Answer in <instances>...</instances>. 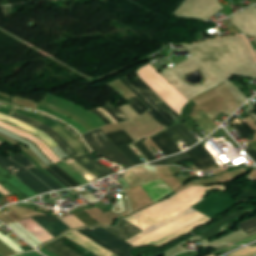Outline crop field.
<instances>
[{"label":"crop field","mask_w":256,"mask_h":256,"mask_svg":"<svg viewBox=\"0 0 256 256\" xmlns=\"http://www.w3.org/2000/svg\"><path fill=\"white\" fill-rule=\"evenodd\" d=\"M12 159L15 160L17 163L25 166L28 169L36 168V166L28 158L23 156L21 153L13 157Z\"/></svg>","instance_id":"a9b5d70f"},{"label":"crop field","mask_w":256,"mask_h":256,"mask_svg":"<svg viewBox=\"0 0 256 256\" xmlns=\"http://www.w3.org/2000/svg\"><path fill=\"white\" fill-rule=\"evenodd\" d=\"M131 103L129 105L135 109L140 115L149 110L137 97L128 99Z\"/></svg>","instance_id":"00972430"},{"label":"crop field","mask_w":256,"mask_h":256,"mask_svg":"<svg viewBox=\"0 0 256 256\" xmlns=\"http://www.w3.org/2000/svg\"><path fill=\"white\" fill-rule=\"evenodd\" d=\"M254 148L256 149V141L252 142Z\"/></svg>","instance_id":"120bbe31"},{"label":"crop field","mask_w":256,"mask_h":256,"mask_svg":"<svg viewBox=\"0 0 256 256\" xmlns=\"http://www.w3.org/2000/svg\"><path fill=\"white\" fill-rule=\"evenodd\" d=\"M78 232H80L81 234L85 235L86 237L90 238L91 240L95 241L96 243L100 244L101 246H103L104 248L108 249L109 251L113 252L114 254L118 255V256H122L121 254L117 253L116 251L112 250L111 248L107 247L106 245H104L103 243L99 242L98 240L94 239L93 237L89 236L88 234H86L85 232L78 230Z\"/></svg>","instance_id":"eef30255"},{"label":"crop field","mask_w":256,"mask_h":256,"mask_svg":"<svg viewBox=\"0 0 256 256\" xmlns=\"http://www.w3.org/2000/svg\"><path fill=\"white\" fill-rule=\"evenodd\" d=\"M228 122L231 123L238 130V132L245 138V140H247L249 136L253 133L236 115L229 119Z\"/></svg>","instance_id":"5142ce71"},{"label":"crop field","mask_w":256,"mask_h":256,"mask_svg":"<svg viewBox=\"0 0 256 256\" xmlns=\"http://www.w3.org/2000/svg\"><path fill=\"white\" fill-rule=\"evenodd\" d=\"M107 136L116 147L134 142L124 130L108 133Z\"/></svg>","instance_id":"cbeb9de0"},{"label":"crop field","mask_w":256,"mask_h":256,"mask_svg":"<svg viewBox=\"0 0 256 256\" xmlns=\"http://www.w3.org/2000/svg\"><path fill=\"white\" fill-rule=\"evenodd\" d=\"M185 153L189 155L203 171L219 168V166L212 160L208 153L199 145Z\"/></svg>","instance_id":"e52e79f7"},{"label":"crop field","mask_w":256,"mask_h":256,"mask_svg":"<svg viewBox=\"0 0 256 256\" xmlns=\"http://www.w3.org/2000/svg\"><path fill=\"white\" fill-rule=\"evenodd\" d=\"M93 112L99 115L103 119V121L106 123V125L111 124V121L105 115H103L100 111L94 108Z\"/></svg>","instance_id":"ae1a2a85"},{"label":"crop field","mask_w":256,"mask_h":256,"mask_svg":"<svg viewBox=\"0 0 256 256\" xmlns=\"http://www.w3.org/2000/svg\"><path fill=\"white\" fill-rule=\"evenodd\" d=\"M108 229L111 230L113 233L121 236L125 240H127V239H129V238H131V237H133V236L142 232L140 229L133 226L132 224H130L129 222H127L124 219L121 220L118 227L108 228Z\"/></svg>","instance_id":"d1516ede"},{"label":"crop field","mask_w":256,"mask_h":256,"mask_svg":"<svg viewBox=\"0 0 256 256\" xmlns=\"http://www.w3.org/2000/svg\"><path fill=\"white\" fill-rule=\"evenodd\" d=\"M57 180H59L64 186L70 188L67 184H65L58 176H56L50 169L46 168Z\"/></svg>","instance_id":"750c4746"},{"label":"crop field","mask_w":256,"mask_h":256,"mask_svg":"<svg viewBox=\"0 0 256 256\" xmlns=\"http://www.w3.org/2000/svg\"><path fill=\"white\" fill-rule=\"evenodd\" d=\"M31 172L34 173L37 177H39L41 180H43L53 190L62 189L51 178H49L46 174L42 173L40 171V169L32 170Z\"/></svg>","instance_id":"214f88e0"},{"label":"crop field","mask_w":256,"mask_h":256,"mask_svg":"<svg viewBox=\"0 0 256 256\" xmlns=\"http://www.w3.org/2000/svg\"><path fill=\"white\" fill-rule=\"evenodd\" d=\"M256 195V190L250 189L248 187L244 188L243 193L241 194L239 200H237L239 203L249 200L250 198L254 197Z\"/></svg>","instance_id":"730fd06b"},{"label":"crop field","mask_w":256,"mask_h":256,"mask_svg":"<svg viewBox=\"0 0 256 256\" xmlns=\"http://www.w3.org/2000/svg\"><path fill=\"white\" fill-rule=\"evenodd\" d=\"M50 169L55 172L61 179H63L65 182H67L72 187L80 186L78 182H76L70 175H68L66 172H64L62 169H60L58 166L54 165L50 167Z\"/></svg>","instance_id":"4a817a6b"},{"label":"crop field","mask_w":256,"mask_h":256,"mask_svg":"<svg viewBox=\"0 0 256 256\" xmlns=\"http://www.w3.org/2000/svg\"><path fill=\"white\" fill-rule=\"evenodd\" d=\"M134 145L144 154L149 162L156 159L142 141L135 143Z\"/></svg>","instance_id":"4177f3b9"},{"label":"crop field","mask_w":256,"mask_h":256,"mask_svg":"<svg viewBox=\"0 0 256 256\" xmlns=\"http://www.w3.org/2000/svg\"><path fill=\"white\" fill-rule=\"evenodd\" d=\"M40 252H42V253H44V254H46L47 256H55V255H53V254H51L50 252H48L47 250H45V249H40L39 250Z\"/></svg>","instance_id":"1d83c4d3"},{"label":"crop field","mask_w":256,"mask_h":256,"mask_svg":"<svg viewBox=\"0 0 256 256\" xmlns=\"http://www.w3.org/2000/svg\"><path fill=\"white\" fill-rule=\"evenodd\" d=\"M63 222H65L71 228H77L85 226L81 221H79L73 214L65 216V217H58Z\"/></svg>","instance_id":"dafd665d"},{"label":"crop field","mask_w":256,"mask_h":256,"mask_svg":"<svg viewBox=\"0 0 256 256\" xmlns=\"http://www.w3.org/2000/svg\"><path fill=\"white\" fill-rule=\"evenodd\" d=\"M239 228L249 234L256 231V217L239 223Z\"/></svg>","instance_id":"92a150f3"},{"label":"crop field","mask_w":256,"mask_h":256,"mask_svg":"<svg viewBox=\"0 0 256 256\" xmlns=\"http://www.w3.org/2000/svg\"><path fill=\"white\" fill-rule=\"evenodd\" d=\"M0 256H2V255L0 254Z\"/></svg>","instance_id":"5866460e"},{"label":"crop field","mask_w":256,"mask_h":256,"mask_svg":"<svg viewBox=\"0 0 256 256\" xmlns=\"http://www.w3.org/2000/svg\"><path fill=\"white\" fill-rule=\"evenodd\" d=\"M22 256H41L40 254L36 253V252H30V253H23L20 254Z\"/></svg>","instance_id":"bd1437ed"},{"label":"crop field","mask_w":256,"mask_h":256,"mask_svg":"<svg viewBox=\"0 0 256 256\" xmlns=\"http://www.w3.org/2000/svg\"><path fill=\"white\" fill-rule=\"evenodd\" d=\"M0 165L6 169L7 171L11 172L17 179L24 182L27 186L33 189L36 193L41 194L47 191H51V189L41 183L38 179H36L33 175L29 172H26L23 167L17 165L7 157L4 158L0 156ZM23 183V184H24Z\"/></svg>","instance_id":"412701ff"},{"label":"crop field","mask_w":256,"mask_h":256,"mask_svg":"<svg viewBox=\"0 0 256 256\" xmlns=\"http://www.w3.org/2000/svg\"><path fill=\"white\" fill-rule=\"evenodd\" d=\"M151 139L165 156L181 152L165 131L155 137H151Z\"/></svg>","instance_id":"5a996713"},{"label":"crop field","mask_w":256,"mask_h":256,"mask_svg":"<svg viewBox=\"0 0 256 256\" xmlns=\"http://www.w3.org/2000/svg\"><path fill=\"white\" fill-rule=\"evenodd\" d=\"M14 112L53 128L66 141H68L76 150H78L82 155L88 154V152L84 149V147L78 141H76L71 135H69L60 125L55 124V123L37 115V114H33V113H30V112H27V111H24V110H21V109H15ZM14 112H12L9 115L13 116V117H15V118H17V119H19L23 122H26V123L38 128V129L42 130V131L46 129L45 132H47L49 135H51L56 140V142L64 148V150L67 152L68 155H70V156L81 155L69 143H67L59 134H57L53 129H51L47 126H44L40 123H37L35 121H32L28 118H25L21 115H18Z\"/></svg>","instance_id":"ac0d7876"},{"label":"crop field","mask_w":256,"mask_h":256,"mask_svg":"<svg viewBox=\"0 0 256 256\" xmlns=\"http://www.w3.org/2000/svg\"><path fill=\"white\" fill-rule=\"evenodd\" d=\"M86 142L99 156L123 164L133 166L128 159L111 143L106 134L99 129L83 135Z\"/></svg>","instance_id":"34b2d1b8"},{"label":"crop field","mask_w":256,"mask_h":256,"mask_svg":"<svg viewBox=\"0 0 256 256\" xmlns=\"http://www.w3.org/2000/svg\"><path fill=\"white\" fill-rule=\"evenodd\" d=\"M103 109L109 112L118 122L128 120L125 114L110 102H107V106L103 107Z\"/></svg>","instance_id":"733c2abd"},{"label":"crop field","mask_w":256,"mask_h":256,"mask_svg":"<svg viewBox=\"0 0 256 256\" xmlns=\"http://www.w3.org/2000/svg\"><path fill=\"white\" fill-rule=\"evenodd\" d=\"M190 159L189 156H187L185 153L173 156V157H169L154 163H150V165H172L184 160Z\"/></svg>","instance_id":"d9b57169"},{"label":"crop field","mask_w":256,"mask_h":256,"mask_svg":"<svg viewBox=\"0 0 256 256\" xmlns=\"http://www.w3.org/2000/svg\"><path fill=\"white\" fill-rule=\"evenodd\" d=\"M168 135L174 140L177 144L182 139L186 142V144L190 147L196 142H198L194 136L183 126L182 123L165 130ZM178 145V144H177ZM179 146V145H178ZM180 147V146H179ZM181 149V148H180ZM182 150V149H181ZM183 151V150H182Z\"/></svg>","instance_id":"3316defc"},{"label":"crop field","mask_w":256,"mask_h":256,"mask_svg":"<svg viewBox=\"0 0 256 256\" xmlns=\"http://www.w3.org/2000/svg\"><path fill=\"white\" fill-rule=\"evenodd\" d=\"M254 210L255 209L240 211V212H237L225 219H222V220L218 221L211 229H208V230L204 231L203 233H201V235L210 238V237L228 229L229 227L233 226V221L236 218L246 215Z\"/></svg>","instance_id":"d8731c3e"},{"label":"crop field","mask_w":256,"mask_h":256,"mask_svg":"<svg viewBox=\"0 0 256 256\" xmlns=\"http://www.w3.org/2000/svg\"><path fill=\"white\" fill-rule=\"evenodd\" d=\"M86 169H88L91 173H93L99 179L106 177L108 175L113 174V172L108 170V168H101L96 161L91 159L88 155L73 158Z\"/></svg>","instance_id":"28ad6ade"},{"label":"crop field","mask_w":256,"mask_h":256,"mask_svg":"<svg viewBox=\"0 0 256 256\" xmlns=\"http://www.w3.org/2000/svg\"><path fill=\"white\" fill-rule=\"evenodd\" d=\"M0 144H2V142H0Z\"/></svg>","instance_id":"d32e631a"},{"label":"crop field","mask_w":256,"mask_h":256,"mask_svg":"<svg viewBox=\"0 0 256 256\" xmlns=\"http://www.w3.org/2000/svg\"><path fill=\"white\" fill-rule=\"evenodd\" d=\"M33 219L36 220L42 227H44L54 237L70 229V227H68L60 219L54 216H35L33 217Z\"/></svg>","instance_id":"dd49c442"},{"label":"crop field","mask_w":256,"mask_h":256,"mask_svg":"<svg viewBox=\"0 0 256 256\" xmlns=\"http://www.w3.org/2000/svg\"><path fill=\"white\" fill-rule=\"evenodd\" d=\"M131 91H133L151 110L147 111L165 128L178 123L179 115L164 102L141 78L138 76L130 80L127 75L119 78Z\"/></svg>","instance_id":"8a807250"},{"label":"crop field","mask_w":256,"mask_h":256,"mask_svg":"<svg viewBox=\"0 0 256 256\" xmlns=\"http://www.w3.org/2000/svg\"><path fill=\"white\" fill-rule=\"evenodd\" d=\"M134 165L142 164L141 159L136 155V153L128 146H123L118 148Z\"/></svg>","instance_id":"bc2a9ffb"},{"label":"crop field","mask_w":256,"mask_h":256,"mask_svg":"<svg viewBox=\"0 0 256 256\" xmlns=\"http://www.w3.org/2000/svg\"><path fill=\"white\" fill-rule=\"evenodd\" d=\"M252 159L256 162V150H246Z\"/></svg>","instance_id":"d3111659"},{"label":"crop field","mask_w":256,"mask_h":256,"mask_svg":"<svg viewBox=\"0 0 256 256\" xmlns=\"http://www.w3.org/2000/svg\"><path fill=\"white\" fill-rule=\"evenodd\" d=\"M0 196H2V195L0 194Z\"/></svg>","instance_id":"028f5c9d"},{"label":"crop field","mask_w":256,"mask_h":256,"mask_svg":"<svg viewBox=\"0 0 256 256\" xmlns=\"http://www.w3.org/2000/svg\"><path fill=\"white\" fill-rule=\"evenodd\" d=\"M83 231L90 234L99 241L103 242L104 244L108 245L109 247L121 253L122 255L132 256L130 250L134 249L135 247L123 241L122 239L110 233L109 231L101 227L83 229Z\"/></svg>","instance_id":"f4fd0767"},{"label":"crop field","mask_w":256,"mask_h":256,"mask_svg":"<svg viewBox=\"0 0 256 256\" xmlns=\"http://www.w3.org/2000/svg\"><path fill=\"white\" fill-rule=\"evenodd\" d=\"M43 248L56 256H82L57 240L45 245Z\"/></svg>","instance_id":"22f410ed"}]
</instances>
